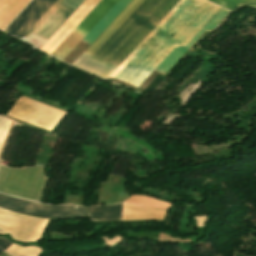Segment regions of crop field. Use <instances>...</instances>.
<instances>
[{
	"instance_id": "crop-field-7",
	"label": "crop field",
	"mask_w": 256,
	"mask_h": 256,
	"mask_svg": "<svg viewBox=\"0 0 256 256\" xmlns=\"http://www.w3.org/2000/svg\"><path fill=\"white\" fill-rule=\"evenodd\" d=\"M90 220L121 219L122 203L106 207H87Z\"/></svg>"
},
{
	"instance_id": "crop-field-3",
	"label": "crop field",
	"mask_w": 256,
	"mask_h": 256,
	"mask_svg": "<svg viewBox=\"0 0 256 256\" xmlns=\"http://www.w3.org/2000/svg\"><path fill=\"white\" fill-rule=\"evenodd\" d=\"M0 207L39 218H74L88 216L84 207L48 206L0 195Z\"/></svg>"
},
{
	"instance_id": "crop-field-4",
	"label": "crop field",
	"mask_w": 256,
	"mask_h": 256,
	"mask_svg": "<svg viewBox=\"0 0 256 256\" xmlns=\"http://www.w3.org/2000/svg\"><path fill=\"white\" fill-rule=\"evenodd\" d=\"M117 1L101 0L51 55L63 60Z\"/></svg>"
},
{
	"instance_id": "crop-field-1",
	"label": "crop field",
	"mask_w": 256,
	"mask_h": 256,
	"mask_svg": "<svg viewBox=\"0 0 256 256\" xmlns=\"http://www.w3.org/2000/svg\"><path fill=\"white\" fill-rule=\"evenodd\" d=\"M143 1L144 0H132L130 4L115 18V20L85 50V52L94 55ZM166 1L167 0H145L129 17V19L115 32V34L101 47L95 56L110 62ZM178 1L179 0H168L131 39V41L117 54L111 63L119 65L161 21V19L178 3Z\"/></svg>"
},
{
	"instance_id": "crop-field-9",
	"label": "crop field",
	"mask_w": 256,
	"mask_h": 256,
	"mask_svg": "<svg viewBox=\"0 0 256 256\" xmlns=\"http://www.w3.org/2000/svg\"><path fill=\"white\" fill-rule=\"evenodd\" d=\"M125 202L138 205V206H143V207L163 208V209H169L170 207V204L165 203L163 201H159L154 198H150L146 196H138V195L132 196Z\"/></svg>"
},
{
	"instance_id": "crop-field-5",
	"label": "crop field",
	"mask_w": 256,
	"mask_h": 256,
	"mask_svg": "<svg viewBox=\"0 0 256 256\" xmlns=\"http://www.w3.org/2000/svg\"><path fill=\"white\" fill-rule=\"evenodd\" d=\"M228 13L229 11L221 8L186 46L175 48L156 70L166 74L205 31L213 30Z\"/></svg>"
},
{
	"instance_id": "crop-field-2",
	"label": "crop field",
	"mask_w": 256,
	"mask_h": 256,
	"mask_svg": "<svg viewBox=\"0 0 256 256\" xmlns=\"http://www.w3.org/2000/svg\"><path fill=\"white\" fill-rule=\"evenodd\" d=\"M55 1L32 0L5 31L21 39ZM63 1L57 0L24 37L27 38L33 32L48 40L84 0ZM60 4L73 11L59 6Z\"/></svg>"
},
{
	"instance_id": "crop-field-6",
	"label": "crop field",
	"mask_w": 256,
	"mask_h": 256,
	"mask_svg": "<svg viewBox=\"0 0 256 256\" xmlns=\"http://www.w3.org/2000/svg\"><path fill=\"white\" fill-rule=\"evenodd\" d=\"M130 1L131 0H119L101 19V21L88 33L83 41L90 44Z\"/></svg>"
},
{
	"instance_id": "crop-field-8",
	"label": "crop field",
	"mask_w": 256,
	"mask_h": 256,
	"mask_svg": "<svg viewBox=\"0 0 256 256\" xmlns=\"http://www.w3.org/2000/svg\"><path fill=\"white\" fill-rule=\"evenodd\" d=\"M12 244L5 237H0V253ZM42 249L38 247H22L17 244H12L4 252L10 256H38Z\"/></svg>"
},
{
	"instance_id": "crop-field-10",
	"label": "crop field",
	"mask_w": 256,
	"mask_h": 256,
	"mask_svg": "<svg viewBox=\"0 0 256 256\" xmlns=\"http://www.w3.org/2000/svg\"><path fill=\"white\" fill-rule=\"evenodd\" d=\"M232 11H236L245 4L256 5V0H209ZM247 5V6H251ZM256 7V6H254Z\"/></svg>"
}]
</instances>
